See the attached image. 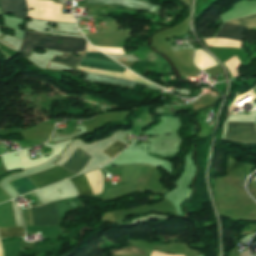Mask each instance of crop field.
<instances>
[{"label":"crop field","mask_w":256,"mask_h":256,"mask_svg":"<svg viewBox=\"0 0 256 256\" xmlns=\"http://www.w3.org/2000/svg\"><path fill=\"white\" fill-rule=\"evenodd\" d=\"M62 39L61 45L58 41ZM86 39L50 36L25 30L20 52L26 57L33 47L49 48L63 52L84 51Z\"/></svg>","instance_id":"obj_1"},{"label":"crop field","mask_w":256,"mask_h":256,"mask_svg":"<svg viewBox=\"0 0 256 256\" xmlns=\"http://www.w3.org/2000/svg\"><path fill=\"white\" fill-rule=\"evenodd\" d=\"M77 69L83 70L87 74L112 77V78H117V79L132 81V82H138V83L151 84V83L143 80L142 78L136 76L129 70H126L124 74H120V73L108 72V71L92 69V68H85V67H80V66H78ZM87 74H85V77H83V79L87 80V81H91V82L118 85V86H123V87H127V88H132V89H134L136 84H138V83H132V82H127V81L112 79V78L92 76V75H87ZM138 85L162 90V89L158 88L157 86H153V85H145V84H138Z\"/></svg>","instance_id":"obj_2"},{"label":"crop field","mask_w":256,"mask_h":256,"mask_svg":"<svg viewBox=\"0 0 256 256\" xmlns=\"http://www.w3.org/2000/svg\"><path fill=\"white\" fill-rule=\"evenodd\" d=\"M28 6L27 18L71 22L74 23L72 15H61L62 5L53 4L47 0H26ZM30 8H34L30 10Z\"/></svg>","instance_id":"obj_3"},{"label":"crop field","mask_w":256,"mask_h":256,"mask_svg":"<svg viewBox=\"0 0 256 256\" xmlns=\"http://www.w3.org/2000/svg\"><path fill=\"white\" fill-rule=\"evenodd\" d=\"M225 139L256 143L254 123L228 122Z\"/></svg>","instance_id":"obj_4"},{"label":"crop field","mask_w":256,"mask_h":256,"mask_svg":"<svg viewBox=\"0 0 256 256\" xmlns=\"http://www.w3.org/2000/svg\"><path fill=\"white\" fill-rule=\"evenodd\" d=\"M34 225H56L59 220L55 203L41 207H31Z\"/></svg>","instance_id":"obj_5"},{"label":"crop field","mask_w":256,"mask_h":256,"mask_svg":"<svg viewBox=\"0 0 256 256\" xmlns=\"http://www.w3.org/2000/svg\"><path fill=\"white\" fill-rule=\"evenodd\" d=\"M70 175H73V174L59 167H54L49 170L30 175V177L34 181V183L37 185V187L40 188L45 185L64 179Z\"/></svg>","instance_id":"obj_6"},{"label":"crop field","mask_w":256,"mask_h":256,"mask_svg":"<svg viewBox=\"0 0 256 256\" xmlns=\"http://www.w3.org/2000/svg\"><path fill=\"white\" fill-rule=\"evenodd\" d=\"M138 1L147 2L146 0H138ZM138 1H132V0H95V1H87V3L88 4L116 3L117 5H120V6H126V7H130V8H134V9H138V10H142V11L161 14L162 7L152 5V4H148V3L138 2Z\"/></svg>","instance_id":"obj_7"},{"label":"crop field","mask_w":256,"mask_h":256,"mask_svg":"<svg viewBox=\"0 0 256 256\" xmlns=\"http://www.w3.org/2000/svg\"><path fill=\"white\" fill-rule=\"evenodd\" d=\"M0 5L3 14L12 13L14 16L26 20L27 6L25 0H0Z\"/></svg>","instance_id":"obj_8"},{"label":"crop field","mask_w":256,"mask_h":256,"mask_svg":"<svg viewBox=\"0 0 256 256\" xmlns=\"http://www.w3.org/2000/svg\"><path fill=\"white\" fill-rule=\"evenodd\" d=\"M90 158L84 151L77 148L74 155L62 167L77 174Z\"/></svg>","instance_id":"obj_9"},{"label":"crop field","mask_w":256,"mask_h":256,"mask_svg":"<svg viewBox=\"0 0 256 256\" xmlns=\"http://www.w3.org/2000/svg\"><path fill=\"white\" fill-rule=\"evenodd\" d=\"M244 29L245 27L224 24L215 37L235 39L241 41Z\"/></svg>","instance_id":"obj_10"},{"label":"crop field","mask_w":256,"mask_h":256,"mask_svg":"<svg viewBox=\"0 0 256 256\" xmlns=\"http://www.w3.org/2000/svg\"><path fill=\"white\" fill-rule=\"evenodd\" d=\"M111 256H147L137 247L119 248L110 250Z\"/></svg>","instance_id":"obj_11"},{"label":"crop field","mask_w":256,"mask_h":256,"mask_svg":"<svg viewBox=\"0 0 256 256\" xmlns=\"http://www.w3.org/2000/svg\"><path fill=\"white\" fill-rule=\"evenodd\" d=\"M71 182L77 188L79 194H90L93 195L89 184L86 180L85 175L78 176L76 178L71 179Z\"/></svg>","instance_id":"obj_12"},{"label":"crop field","mask_w":256,"mask_h":256,"mask_svg":"<svg viewBox=\"0 0 256 256\" xmlns=\"http://www.w3.org/2000/svg\"><path fill=\"white\" fill-rule=\"evenodd\" d=\"M13 236H24V227L0 228V238Z\"/></svg>","instance_id":"obj_13"},{"label":"crop field","mask_w":256,"mask_h":256,"mask_svg":"<svg viewBox=\"0 0 256 256\" xmlns=\"http://www.w3.org/2000/svg\"><path fill=\"white\" fill-rule=\"evenodd\" d=\"M52 60L57 62H64L75 68V66L80 61V58H75L72 54L64 53L62 57L55 56Z\"/></svg>","instance_id":"obj_14"},{"label":"crop field","mask_w":256,"mask_h":256,"mask_svg":"<svg viewBox=\"0 0 256 256\" xmlns=\"http://www.w3.org/2000/svg\"><path fill=\"white\" fill-rule=\"evenodd\" d=\"M227 23L239 24L248 27H256V14L245 18L228 21Z\"/></svg>","instance_id":"obj_15"},{"label":"crop field","mask_w":256,"mask_h":256,"mask_svg":"<svg viewBox=\"0 0 256 256\" xmlns=\"http://www.w3.org/2000/svg\"><path fill=\"white\" fill-rule=\"evenodd\" d=\"M81 66H86V67H93V68H99L103 70H108V71H114V72H120L123 73L125 68L121 67H108V66H101V65H95V64H89V63H80Z\"/></svg>","instance_id":"obj_16"},{"label":"crop field","mask_w":256,"mask_h":256,"mask_svg":"<svg viewBox=\"0 0 256 256\" xmlns=\"http://www.w3.org/2000/svg\"><path fill=\"white\" fill-rule=\"evenodd\" d=\"M82 61L90 62V63H96V64H101V65H108V66H121V65H119L116 62H110V61L98 60V59L84 58Z\"/></svg>","instance_id":"obj_17"},{"label":"crop field","mask_w":256,"mask_h":256,"mask_svg":"<svg viewBox=\"0 0 256 256\" xmlns=\"http://www.w3.org/2000/svg\"><path fill=\"white\" fill-rule=\"evenodd\" d=\"M100 50L107 52V53H113V54H124V49L119 48H108V47H97Z\"/></svg>","instance_id":"obj_18"},{"label":"crop field","mask_w":256,"mask_h":256,"mask_svg":"<svg viewBox=\"0 0 256 256\" xmlns=\"http://www.w3.org/2000/svg\"><path fill=\"white\" fill-rule=\"evenodd\" d=\"M86 56V55H85ZM86 57H90V58H98V59H105V60H110L112 61L111 59H109L107 56H105L104 54L102 53H87V56Z\"/></svg>","instance_id":"obj_19"},{"label":"crop field","mask_w":256,"mask_h":256,"mask_svg":"<svg viewBox=\"0 0 256 256\" xmlns=\"http://www.w3.org/2000/svg\"><path fill=\"white\" fill-rule=\"evenodd\" d=\"M256 89V88H255ZM249 98H254V97H256V90H254V91H252V92H250V93H248V94H246ZM255 99V98H254ZM253 100V99H252ZM254 102H256V99L255 100H253Z\"/></svg>","instance_id":"obj_20"},{"label":"crop field","mask_w":256,"mask_h":256,"mask_svg":"<svg viewBox=\"0 0 256 256\" xmlns=\"http://www.w3.org/2000/svg\"><path fill=\"white\" fill-rule=\"evenodd\" d=\"M87 52H98L97 50H95L91 45H87Z\"/></svg>","instance_id":"obj_21"}]
</instances>
